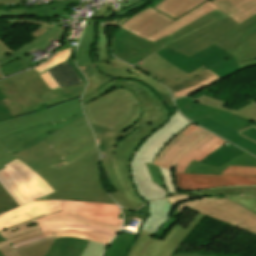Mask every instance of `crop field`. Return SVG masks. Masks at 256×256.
<instances>
[{"label":"crop field","instance_id":"obj_1","mask_svg":"<svg viewBox=\"0 0 256 256\" xmlns=\"http://www.w3.org/2000/svg\"><path fill=\"white\" fill-rule=\"evenodd\" d=\"M86 82L42 93L48 109L13 118L0 90V169L15 160L14 153L32 148L64 125L84 116L80 95ZM54 123V125H53Z\"/></svg>","mask_w":256,"mask_h":256},{"label":"crop field","instance_id":"obj_2","mask_svg":"<svg viewBox=\"0 0 256 256\" xmlns=\"http://www.w3.org/2000/svg\"><path fill=\"white\" fill-rule=\"evenodd\" d=\"M254 35L256 15L238 25L209 1L146 40L190 57L213 44L229 52Z\"/></svg>","mask_w":256,"mask_h":256},{"label":"crop field","instance_id":"obj_3","mask_svg":"<svg viewBox=\"0 0 256 256\" xmlns=\"http://www.w3.org/2000/svg\"><path fill=\"white\" fill-rule=\"evenodd\" d=\"M89 85L82 95V104L117 88L132 90L141 105L133 106L132 117L114 131L92 126L99 143L115 147L121 139L131 141L132 138L142 141L160 127L168 116L169 111L158 97L145 85L136 81H121L101 73L95 64L81 67Z\"/></svg>","mask_w":256,"mask_h":256},{"label":"crop field","instance_id":"obj_4","mask_svg":"<svg viewBox=\"0 0 256 256\" xmlns=\"http://www.w3.org/2000/svg\"><path fill=\"white\" fill-rule=\"evenodd\" d=\"M4 167L0 184L20 207L0 215V230L61 210L59 200L34 201L54 190L33 170L18 159Z\"/></svg>","mask_w":256,"mask_h":256},{"label":"crop field","instance_id":"obj_5","mask_svg":"<svg viewBox=\"0 0 256 256\" xmlns=\"http://www.w3.org/2000/svg\"><path fill=\"white\" fill-rule=\"evenodd\" d=\"M97 146L67 164L66 162L37 172L56 191L44 199H70L116 204L101 188L97 163Z\"/></svg>","mask_w":256,"mask_h":256},{"label":"crop field","instance_id":"obj_6","mask_svg":"<svg viewBox=\"0 0 256 256\" xmlns=\"http://www.w3.org/2000/svg\"><path fill=\"white\" fill-rule=\"evenodd\" d=\"M190 123L177 110L167 124L143 140L133 155L130 162L132 181L139 196L145 202L153 199H165L168 196L165 189L152 182L145 162L152 164L156 154Z\"/></svg>","mask_w":256,"mask_h":256},{"label":"crop field","instance_id":"obj_7","mask_svg":"<svg viewBox=\"0 0 256 256\" xmlns=\"http://www.w3.org/2000/svg\"><path fill=\"white\" fill-rule=\"evenodd\" d=\"M227 141L192 123L156 156L153 165L184 173L192 160L200 161ZM183 145V147H181Z\"/></svg>","mask_w":256,"mask_h":256},{"label":"crop field","instance_id":"obj_8","mask_svg":"<svg viewBox=\"0 0 256 256\" xmlns=\"http://www.w3.org/2000/svg\"><path fill=\"white\" fill-rule=\"evenodd\" d=\"M141 143L134 139L131 142L122 140L115 148L98 143L100 157H106L101 160L110 184L118 190V193L111 196L119 205L130 210H135L145 203L132 185L129 170L131 157Z\"/></svg>","mask_w":256,"mask_h":256},{"label":"crop field","instance_id":"obj_9","mask_svg":"<svg viewBox=\"0 0 256 256\" xmlns=\"http://www.w3.org/2000/svg\"><path fill=\"white\" fill-rule=\"evenodd\" d=\"M168 200L176 207L173 216H180L186 207L256 234V215L224 196L206 197L181 193Z\"/></svg>","mask_w":256,"mask_h":256},{"label":"crop field","instance_id":"obj_10","mask_svg":"<svg viewBox=\"0 0 256 256\" xmlns=\"http://www.w3.org/2000/svg\"><path fill=\"white\" fill-rule=\"evenodd\" d=\"M207 1L209 0H164L154 8L149 7L142 12L104 25L123 27L145 39Z\"/></svg>","mask_w":256,"mask_h":256},{"label":"crop field","instance_id":"obj_11","mask_svg":"<svg viewBox=\"0 0 256 256\" xmlns=\"http://www.w3.org/2000/svg\"><path fill=\"white\" fill-rule=\"evenodd\" d=\"M62 211L36 219L39 225L56 222H77L120 230L119 208L116 205L60 200Z\"/></svg>","mask_w":256,"mask_h":256},{"label":"crop field","instance_id":"obj_12","mask_svg":"<svg viewBox=\"0 0 256 256\" xmlns=\"http://www.w3.org/2000/svg\"><path fill=\"white\" fill-rule=\"evenodd\" d=\"M0 89L13 117L34 113L44 103L39 93L50 90L33 69L0 81Z\"/></svg>","mask_w":256,"mask_h":256},{"label":"crop field","instance_id":"obj_13","mask_svg":"<svg viewBox=\"0 0 256 256\" xmlns=\"http://www.w3.org/2000/svg\"><path fill=\"white\" fill-rule=\"evenodd\" d=\"M139 104L133 92L113 90L83 106L90 124L115 129L132 115V105Z\"/></svg>","mask_w":256,"mask_h":256},{"label":"crop field","instance_id":"obj_14","mask_svg":"<svg viewBox=\"0 0 256 256\" xmlns=\"http://www.w3.org/2000/svg\"><path fill=\"white\" fill-rule=\"evenodd\" d=\"M156 53L188 74L203 65L221 78L239 71L235 60L224 61V58L230 56V54L215 45L190 58L167 48Z\"/></svg>","mask_w":256,"mask_h":256},{"label":"crop field","instance_id":"obj_15","mask_svg":"<svg viewBox=\"0 0 256 256\" xmlns=\"http://www.w3.org/2000/svg\"><path fill=\"white\" fill-rule=\"evenodd\" d=\"M238 24L256 14V0H210ZM241 69L256 66V36L230 52Z\"/></svg>","mask_w":256,"mask_h":256},{"label":"crop field","instance_id":"obj_16","mask_svg":"<svg viewBox=\"0 0 256 256\" xmlns=\"http://www.w3.org/2000/svg\"><path fill=\"white\" fill-rule=\"evenodd\" d=\"M98 26V33H99V41L93 49V57L96 66L99 70L109 76L124 78V79H137L145 84L152 86L153 88L159 90L160 92L170 95L167 88L159 84L157 81L147 77L145 74L135 70L131 66L122 63L121 61L117 60L116 58L107 61L109 57L108 54L105 52L106 47V33L102 25ZM171 97V96H170Z\"/></svg>","mask_w":256,"mask_h":256},{"label":"crop field","instance_id":"obj_17","mask_svg":"<svg viewBox=\"0 0 256 256\" xmlns=\"http://www.w3.org/2000/svg\"><path fill=\"white\" fill-rule=\"evenodd\" d=\"M40 228L43 235L16 244L13 248L16 249L54 235H56V237L70 236L84 238L107 245L118 233V231L112 229L98 228L76 223L47 224L40 226Z\"/></svg>","mask_w":256,"mask_h":256},{"label":"crop field","instance_id":"obj_18","mask_svg":"<svg viewBox=\"0 0 256 256\" xmlns=\"http://www.w3.org/2000/svg\"><path fill=\"white\" fill-rule=\"evenodd\" d=\"M163 46L146 41L122 28L116 37L111 39L112 53L119 59L135 64L148 57Z\"/></svg>","mask_w":256,"mask_h":256},{"label":"crop field","instance_id":"obj_19","mask_svg":"<svg viewBox=\"0 0 256 256\" xmlns=\"http://www.w3.org/2000/svg\"><path fill=\"white\" fill-rule=\"evenodd\" d=\"M56 131L47 139L43 140L50 144L61 157L82 147L94 139L92 131L85 117Z\"/></svg>","mask_w":256,"mask_h":256},{"label":"crop field","instance_id":"obj_20","mask_svg":"<svg viewBox=\"0 0 256 256\" xmlns=\"http://www.w3.org/2000/svg\"><path fill=\"white\" fill-rule=\"evenodd\" d=\"M178 191L208 189L223 186L256 185V176L192 175L174 173Z\"/></svg>","mask_w":256,"mask_h":256},{"label":"crop field","instance_id":"obj_21","mask_svg":"<svg viewBox=\"0 0 256 256\" xmlns=\"http://www.w3.org/2000/svg\"><path fill=\"white\" fill-rule=\"evenodd\" d=\"M134 67L146 72L147 74L152 76L157 81L163 83L167 87L183 82L208 70L203 66L200 69L188 75L184 71L169 64L156 53L148 57L144 61L140 62V64L134 65Z\"/></svg>","mask_w":256,"mask_h":256},{"label":"crop field","instance_id":"obj_22","mask_svg":"<svg viewBox=\"0 0 256 256\" xmlns=\"http://www.w3.org/2000/svg\"><path fill=\"white\" fill-rule=\"evenodd\" d=\"M174 102L179 111L188 119L208 117L237 131L253 123L225 111L202 106L189 98L174 100Z\"/></svg>","mask_w":256,"mask_h":256},{"label":"crop field","instance_id":"obj_23","mask_svg":"<svg viewBox=\"0 0 256 256\" xmlns=\"http://www.w3.org/2000/svg\"><path fill=\"white\" fill-rule=\"evenodd\" d=\"M192 121L226 138L231 143L247 150L256 156V124L239 132L207 118L193 119Z\"/></svg>","mask_w":256,"mask_h":256},{"label":"crop field","instance_id":"obj_24","mask_svg":"<svg viewBox=\"0 0 256 256\" xmlns=\"http://www.w3.org/2000/svg\"><path fill=\"white\" fill-rule=\"evenodd\" d=\"M204 217L198 213L186 228L175 225L164 241L153 238L146 256H171L181 241Z\"/></svg>","mask_w":256,"mask_h":256},{"label":"crop field","instance_id":"obj_25","mask_svg":"<svg viewBox=\"0 0 256 256\" xmlns=\"http://www.w3.org/2000/svg\"><path fill=\"white\" fill-rule=\"evenodd\" d=\"M14 156L21 159L22 162L35 172L64 162L58 153L43 141L35 145L32 149L14 154Z\"/></svg>","mask_w":256,"mask_h":256},{"label":"crop field","instance_id":"obj_26","mask_svg":"<svg viewBox=\"0 0 256 256\" xmlns=\"http://www.w3.org/2000/svg\"><path fill=\"white\" fill-rule=\"evenodd\" d=\"M68 31V29H61L60 25L54 26L49 31H47L45 34L41 35L39 38L33 40L32 42L22 46L20 49L15 51L14 53H11L10 55L4 57L0 60V67L8 64L12 61H15L19 58L23 59L26 63H28L31 67L35 66L28 62L27 60L32 57L31 52L36 51L37 49L44 50L46 47H48L51 43L50 40H60L62 41L65 33Z\"/></svg>","mask_w":256,"mask_h":256},{"label":"crop field","instance_id":"obj_27","mask_svg":"<svg viewBox=\"0 0 256 256\" xmlns=\"http://www.w3.org/2000/svg\"><path fill=\"white\" fill-rule=\"evenodd\" d=\"M229 165L256 167V158L245 152L235 157L231 161L225 163L220 168H218L217 166L192 161L187 170L185 171V173L221 175V173Z\"/></svg>","mask_w":256,"mask_h":256},{"label":"crop field","instance_id":"obj_28","mask_svg":"<svg viewBox=\"0 0 256 256\" xmlns=\"http://www.w3.org/2000/svg\"><path fill=\"white\" fill-rule=\"evenodd\" d=\"M172 206L167 201L149 202L150 215L148 216L142 230L157 233L169 220Z\"/></svg>","mask_w":256,"mask_h":256},{"label":"crop field","instance_id":"obj_29","mask_svg":"<svg viewBox=\"0 0 256 256\" xmlns=\"http://www.w3.org/2000/svg\"><path fill=\"white\" fill-rule=\"evenodd\" d=\"M88 242V240L78 238H56L46 256H80Z\"/></svg>","mask_w":256,"mask_h":256},{"label":"crop field","instance_id":"obj_30","mask_svg":"<svg viewBox=\"0 0 256 256\" xmlns=\"http://www.w3.org/2000/svg\"><path fill=\"white\" fill-rule=\"evenodd\" d=\"M96 29V24L85 25V31L76 51V64L78 67L94 63L92 58V48L98 41Z\"/></svg>","mask_w":256,"mask_h":256},{"label":"crop field","instance_id":"obj_31","mask_svg":"<svg viewBox=\"0 0 256 256\" xmlns=\"http://www.w3.org/2000/svg\"><path fill=\"white\" fill-rule=\"evenodd\" d=\"M219 79H221L219 76L208 70L193 79L171 86L169 89L172 93L173 99H176L187 96Z\"/></svg>","mask_w":256,"mask_h":256},{"label":"crop field","instance_id":"obj_32","mask_svg":"<svg viewBox=\"0 0 256 256\" xmlns=\"http://www.w3.org/2000/svg\"><path fill=\"white\" fill-rule=\"evenodd\" d=\"M48 71L60 88L83 82L67 60Z\"/></svg>","mask_w":256,"mask_h":256},{"label":"crop field","instance_id":"obj_33","mask_svg":"<svg viewBox=\"0 0 256 256\" xmlns=\"http://www.w3.org/2000/svg\"><path fill=\"white\" fill-rule=\"evenodd\" d=\"M70 3H80V0H60L54 4L31 8L25 10V17L38 16L39 18H54L55 15H66L69 12H65L64 8L66 4Z\"/></svg>","mask_w":256,"mask_h":256},{"label":"crop field","instance_id":"obj_34","mask_svg":"<svg viewBox=\"0 0 256 256\" xmlns=\"http://www.w3.org/2000/svg\"><path fill=\"white\" fill-rule=\"evenodd\" d=\"M191 99L199 102L202 105L219 108V109L225 110L227 112L234 113V114H236L240 117H243L247 120L256 122V102L251 103L250 105H248L247 107H245L243 109H240L238 111H234V110H231V109L221 107V106H223L227 103H224V102L219 101V100H214V99L208 98L204 95L197 98V99H194V98H191Z\"/></svg>","mask_w":256,"mask_h":256},{"label":"crop field","instance_id":"obj_35","mask_svg":"<svg viewBox=\"0 0 256 256\" xmlns=\"http://www.w3.org/2000/svg\"><path fill=\"white\" fill-rule=\"evenodd\" d=\"M136 236L120 232L108 246L104 256H125L128 248L135 241Z\"/></svg>","mask_w":256,"mask_h":256},{"label":"crop field","instance_id":"obj_36","mask_svg":"<svg viewBox=\"0 0 256 256\" xmlns=\"http://www.w3.org/2000/svg\"><path fill=\"white\" fill-rule=\"evenodd\" d=\"M228 144L229 145L226 147L225 146L220 147L218 150L213 152L211 155L206 157L201 162L220 166V165L224 164L225 162L231 160L238 154L244 152L241 149L231 145L229 142H228Z\"/></svg>","mask_w":256,"mask_h":256},{"label":"crop field","instance_id":"obj_37","mask_svg":"<svg viewBox=\"0 0 256 256\" xmlns=\"http://www.w3.org/2000/svg\"><path fill=\"white\" fill-rule=\"evenodd\" d=\"M41 231H35V232H31V233H27V234H24V235H21V236H18V237H15V238H12V239H9L7 241H4L2 243H0V252L4 255V256H20L16 251L18 250H21V249H24L26 247H29V246H32V245H35V244H38V243H41V242H44V241H47V240H50V239H53L54 237H51V238H47V239H44V240H41L39 242H36V243H33V244H30V245H27L25 247H22V248H19V249H16L14 250L11 246V244H16V243H19V242H23L27 239H30L32 237H35V236H38V235H41Z\"/></svg>","mask_w":256,"mask_h":256},{"label":"crop field","instance_id":"obj_38","mask_svg":"<svg viewBox=\"0 0 256 256\" xmlns=\"http://www.w3.org/2000/svg\"><path fill=\"white\" fill-rule=\"evenodd\" d=\"M38 224L35 220L20 224L15 227L8 228L6 230L0 231V235L5 239H9L30 231L38 230Z\"/></svg>","mask_w":256,"mask_h":256},{"label":"crop field","instance_id":"obj_39","mask_svg":"<svg viewBox=\"0 0 256 256\" xmlns=\"http://www.w3.org/2000/svg\"><path fill=\"white\" fill-rule=\"evenodd\" d=\"M153 234L140 231L139 239L132 245L127 256H145Z\"/></svg>","mask_w":256,"mask_h":256},{"label":"crop field","instance_id":"obj_40","mask_svg":"<svg viewBox=\"0 0 256 256\" xmlns=\"http://www.w3.org/2000/svg\"><path fill=\"white\" fill-rule=\"evenodd\" d=\"M256 214V193L225 196Z\"/></svg>","mask_w":256,"mask_h":256},{"label":"crop field","instance_id":"obj_41","mask_svg":"<svg viewBox=\"0 0 256 256\" xmlns=\"http://www.w3.org/2000/svg\"><path fill=\"white\" fill-rule=\"evenodd\" d=\"M71 51V48L62 52H58L56 55L51 57L49 60H47L45 63L39 65L38 67L34 68L38 73H41L43 71H46L55 65H57L59 62L67 59L69 53Z\"/></svg>","mask_w":256,"mask_h":256},{"label":"crop field","instance_id":"obj_42","mask_svg":"<svg viewBox=\"0 0 256 256\" xmlns=\"http://www.w3.org/2000/svg\"><path fill=\"white\" fill-rule=\"evenodd\" d=\"M53 240L18 251L21 256H44Z\"/></svg>","mask_w":256,"mask_h":256},{"label":"crop field","instance_id":"obj_43","mask_svg":"<svg viewBox=\"0 0 256 256\" xmlns=\"http://www.w3.org/2000/svg\"><path fill=\"white\" fill-rule=\"evenodd\" d=\"M28 68H31V67L27 65L23 60L19 59L15 62H12L8 65L1 67L0 72L7 77L9 75H13L16 72H20Z\"/></svg>","mask_w":256,"mask_h":256},{"label":"crop field","instance_id":"obj_44","mask_svg":"<svg viewBox=\"0 0 256 256\" xmlns=\"http://www.w3.org/2000/svg\"><path fill=\"white\" fill-rule=\"evenodd\" d=\"M19 206L0 185V213Z\"/></svg>","mask_w":256,"mask_h":256},{"label":"crop field","instance_id":"obj_45","mask_svg":"<svg viewBox=\"0 0 256 256\" xmlns=\"http://www.w3.org/2000/svg\"><path fill=\"white\" fill-rule=\"evenodd\" d=\"M223 174L229 175H256V168L229 166Z\"/></svg>","mask_w":256,"mask_h":256},{"label":"crop field","instance_id":"obj_46","mask_svg":"<svg viewBox=\"0 0 256 256\" xmlns=\"http://www.w3.org/2000/svg\"><path fill=\"white\" fill-rule=\"evenodd\" d=\"M104 248L105 245L90 241L81 256H100Z\"/></svg>","mask_w":256,"mask_h":256},{"label":"crop field","instance_id":"obj_47","mask_svg":"<svg viewBox=\"0 0 256 256\" xmlns=\"http://www.w3.org/2000/svg\"><path fill=\"white\" fill-rule=\"evenodd\" d=\"M160 171L162 173L164 183H165L169 193L177 192L176 187H175V183H174L173 173L170 172V171H167L165 169H162V168H160Z\"/></svg>","mask_w":256,"mask_h":256},{"label":"crop field","instance_id":"obj_48","mask_svg":"<svg viewBox=\"0 0 256 256\" xmlns=\"http://www.w3.org/2000/svg\"><path fill=\"white\" fill-rule=\"evenodd\" d=\"M94 146H96V143H95V140H92L91 142H89L85 146H83L82 148H80V149L72 152L68 156L64 157L63 160H65L68 163V162L74 160L75 158L79 157L83 153L87 152L88 150H90Z\"/></svg>","mask_w":256,"mask_h":256},{"label":"crop field","instance_id":"obj_49","mask_svg":"<svg viewBox=\"0 0 256 256\" xmlns=\"http://www.w3.org/2000/svg\"><path fill=\"white\" fill-rule=\"evenodd\" d=\"M78 39H79V38H78ZM78 39H76V40H74V41H69V42L65 43V44L61 47V49H59V51H62V50H65V49H67V48L72 47V51H71V53H70V55H69V57H68L67 60H68L69 63L72 65V67L76 70V72L79 74V76L82 78V80H83V81H86L84 75L78 70V68H77L76 65L74 64V50H75L76 46H70L71 42H76V43H77V42H78Z\"/></svg>","mask_w":256,"mask_h":256},{"label":"crop field","instance_id":"obj_50","mask_svg":"<svg viewBox=\"0 0 256 256\" xmlns=\"http://www.w3.org/2000/svg\"><path fill=\"white\" fill-rule=\"evenodd\" d=\"M6 22H12V23H28V24H41L36 31L30 33L33 35L35 38L40 36L42 33L46 32L48 29H50L54 25H46V22H35V21H6Z\"/></svg>","mask_w":256,"mask_h":256},{"label":"crop field","instance_id":"obj_51","mask_svg":"<svg viewBox=\"0 0 256 256\" xmlns=\"http://www.w3.org/2000/svg\"><path fill=\"white\" fill-rule=\"evenodd\" d=\"M147 167L149 169V172H150L153 182H155V183L159 184L161 187L165 188L159 168L157 166H153V165H149V164H147Z\"/></svg>","mask_w":256,"mask_h":256},{"label":"crop field","instance_id":"obj_52","mask_svg":"<svg viewBox=\"0 0 256 256\" xmlns=\"http://www.w3.org/2000/svg\"><path fill=\"white\" fill-rule=\"evenodd\" d=\"M0 17H24V10H21V9L0 10Z\"/></svg>","mask_w":256,"mask_h":256},{"label":"crop field","instance_id":"obj_53","mask_svg":"<svg viewBox=\"0 0 256 256\" xmlns=\"http://www.w3.org/2000/svg\"><path fill=\"white\" fill-rule=\"evenodd\" d=\"M146 209H147V207L144 206V210H145V211H146ZM123 212H124V217H125V226H126V225L128 226V224H129L130 221L132 220V217H133V216L136 217V218H139V219H142L143 216H146V214L143 215V214H140V213L129 212V211L126 210V209H123ZM125 226H124V227H125Z\"/></svg>","mask_w":256,"mask_h":256},{"label":"crop field","instance_id":"obj_54","mask_svg":"<svg viewBox=\"0 0 256 256\" xmlns=\"http://www.w3.org/2000/svg\"><path fill=\"white\" fill-rule=\"evenodd\" d=\"M148 1H149V0H142V1L138 2L137 4H135V5H133V6L127 7L126 9H124V10L118 12V13H117V14H118L117 17L122 16V15H124V14H127V13H129V12H131V11H134V10L140 8L141 6H143V5H144L145 3H147Z\"/></svg>","mask_w":256,"mask_h":256},{"label":"crop field","instance_id":"obj_55","mask_svg":"<svg viewBox=\"0 0 256 256\" xmlns=\"http://www.w3.org/2000/svg\"><path fill=\"white\" fill-rule=\"evenodd\" d=\"M40 76L47 83V85L50 87L51 90H53L55 88L59 89V87L56 85V83L54 82V80L52 79V77L50 76L48 71L43 73V74H41Z\"/></svg>","mask_w":256,"mask_h":256},{"label":"crop field","instance_id":"obj_56","mask_svg":"<svg viewBox=\"0 0 256 256\" xmlns=\"http://www.w3.org/2000/svg\"><path fill=\"white\" fill-rule=\"evenodd\" d=\"M109 7H110V5H106V6L99 12V14L97 15L96 18H99V17H101L102 15H104V17H115V16H117V14H115V13H113V12H111V11L108 10Z\"/></svg>","mask_w":256,"mask_h":256},{"label":"crop field","instance_id":"obj_57","mask_svg":"<svg viewBox=\"0 0 256 256\" xmlns=\"http://www.w3.org/2000/svg\"><path fill=\"white\" fill-rule=\"evenodd\" d=\"M152 87V86H151ZM157 91V90H156ZM159 91V90H158ZM157 91V93L160 95V97L165 101V103H166V105H167V107H173V106H175V104L173 103V101H172V99L171 98H169L168 96H166V95H164V94H162V93H160V92H158Z\"/></svg>","mask_w":256,"mask_h":256},{"label":"crop field","instance_id":"obj_58","mask_svg":"<svg viewBox=\"0 0 256 256\" xmlns=\"http://www.w3.org/2000/svg\"><path fill=\"white\" fill-rule=\"evenodd\" d=\"M23 2H27V0H0V4H14Z\"/></svg>","mask_w":256,"mask_h":256},{"label":"crop field","instance_id":"obj_59","mask_svg":"<svg viewBox=\"0 0 256 256\" xmlns=\"http://www.w3.org/2000/svg\"><path fill=\"white\" fill-rule=\"evenodd\" d=\"M7 54H9V52L0 45V58L4 57Z\"/></svg>","mask_w":256,"mask_h":256},{"label":"crop field","instance_id":"obj_60","mask_svg":"<svg viewBox=\"0 0 256 256\" xmlns=\"http://www.w3.org/2000/svg\"><path fill=\"white\" fill-rule=\"evenodd\" d=\"M199 254H179L174 256H198Z\"/></svg>","mask_w":256,"mask_h":256},{"label":"crop field","instance_id":"obj_61","mask_svg":"<svg viewBox=\"0 0 256 256\" xmlns=\"http://www.w3.org/2000/svg\"><path fill=\"white\" fill-rule=\"evenodd\" d=\"M0 44L3 45L10 53L13 52L11 49H9L7 46H5L1 41Z\"/></svg>","mask_w":256,"mask_h":256},{"label":"crop field","instance_id":"obj_62","mask_svg":"<svg viewBox=\"0 0 256 256\" xmlns=\"http://www.w3.org/2000/svg\"><path fill=\"white\" fill-rule=\"evenodd\" d=\"M160 1H162V0H155V1L152 3V5L155 6V5L158 4Z\"/></svg>","mask_w":256,"mask_h":256},{"label":"crop field","instance_id":"obj_63","mask_svg":"<svg viewBox=\"0 0 256 256\" xmlns=\"http://www.w3.org/2000/svg\"><path fill=\"white\" fill-rule=\"evenodd\" d=\"M4 241V239L0 236V242Z\"/></svg>","mask_w":256,"mask_h":256},{"label":"crop field","instance_id":"obj_64","mask_svg":"<svg viewBox=\"0 0 256 256\" xmlns=\"http://www.w3.org/2000/svg\"><path fill=\"white\" fill-rule=\"evenodd\" d=\"M61 23V22H60ZM60 23H57V24H60ZM47 24H51V23H47ZM55 25V24H54Z\"/></svg>","mask_w":256,"mask_h":256},{"label":"crop field","instance_id":"obj_65","mask_svg":"<svg viewBox=\"0 0 256 256\" xmlns=\"http://www.w3.org/2000/svg\"><path fill=\"white\" fill-rule=\"evenodd\" d=\"M3 76L0 74V78H2Z\"/></svg>","mask_w":256,"mask_h":256},{"label":"crop field","instance_id":"obj_66","mask_svg":"<svg viewBox=\"0 0 256 256\" xmlns=\"http://www.w3.org/2000/svg\"><path fill=\"white\" fill-rule=\"evenodd\" d=\"M0 256H3V255L0 253Z\"/></svg>","mask_w":256,"mask_h":256},{"label":"crop field","instance_id":"obj_67","mask_svg":"<svg viewBox=\"0 0 256 256\" xmlns=\"http://www.w3.org/2000/svg\"><path fill=\"white\" fill-rule=\"evenodd\" d=\"M199 256H201V255H199Z\"/></svg>","mask_w":256,"mask_h":256}]
</instances>
